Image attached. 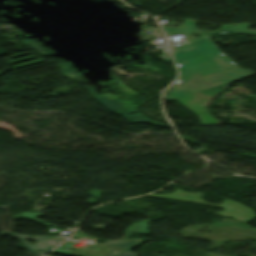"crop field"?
Wrapping results in <instances>:
<instances>
[{
    "instance_id": "crop-field-2",
    "label": "crop field",
    "mask_w": 256,
    "mask_h": 256,
    "mask_svg": "<svg viewBox=\"0 0 256 256\" xmlns=\"http://www.w3.org/2000/svg\"><path fill=\"white\" fill-rule=\"evenodd\" d=\"M2 233L9 234V235H12L13 237L19 238L23 243V245L26 247V249L35 254H44L63 241L62 239H54V238H47V237H41V236L28 237V236L18 235L14 233H9V232H2ZM24 238L33 239L38 243L35 245H30L27 241L24 240ZM35 249H40L45 251L43 253H38L35 251Z\"/></svg>"
},
{
    "instance_id": "crop-field-8",
    "label": "crop field",
    "mask_w": 256,
    "mask_h": 256,
    "mask_svg": "<svg viewBox=\"0 0 256 256\" xmlns=\"http://www.w3.org/2000/svg\"><path fill=\"white\" fill-rule=\"evenodd\" d=\"M74 243L72 241H67L66 245L65 246H62V247H59L57 248L56 250H54V252H58V253H63V254H67V255H70V251H67V250H64L62 249L63 247H68V248H72V245Z\"/></svg>"
},
{
    "instance_id": "crop-field-3",
    "label": "crop field",
    "mask_w": 256,
    "mask_h": 256,
    "mask_svg": "<svg viewBox=\"0 0 256 256\" xmlns=\"http://www.w3.org/2000/svg\"><path fill=\"white\" fill-rule=\"evenodd\" d=\"M250 26H251V24L225 25V26H222L220 31H214V32H203L202 31L199 34H201L202 36H205V35L212 36L214 34H223V33L231 32V33L256 35V32H252L249 29Z\"/></svg>"
},
{
    "instance_id": "crop-field-10",
    "label": "crop field",
    "mask_w": 256,
    "mask_h": 256,
    "mask_svg": "<svg viewBox=\"0 0 256 256\" xmlns=\"http://www.w3.org/2000/svg\"><path fill=\"white\" fill-rule=\"evenodd\" d=\"M100 194H102V192L92 190L91 191V198H90L89 201H87V203H91L92 205H94L93 202H96V200H93V196H96L97 199H98Z\"/></svg>"
},
{
    "instance_id": "crop-field-9",
    "label": "crop field",
    "mask_w": 256,
    "mask_h": 256,
    "mask_svg": "<svg viewBox=\"0 0 256 256\" xmlns=\"http://www.w3.org/2000/svg\"><path fill=\"white\" fill-rule=\"evenodd\" d=\"M160 46L163 47V50H164V54L162 56H160V58H166V62L170 63L171 59H170V56H169L167 46H164V45H160Z\"/></svg>"
},
{
    "instance_id": "crop-field-11",
    "label": "crop field",
    "mask_w": 256,
    "mask_h": 256,
    "mask_svg": "<svg viewBox=\"0 0 256 256\" xmlns=\"http://www.w3.org/2000/svg\"><path fill=\"white\" fill-rule=\"evenodd\" d=\"M118 256H138L137 254L135 253H132V252H129V251H126Z\"/></svg>"
},
{
    "instance_id": "crop-field-4",
    "label": "crop field",
    "mask_w": 256,
    "mask_h": 256,
    "mask_svg": "<svg viewBox=\"0 0 256 256\" xmlns=\"http://www.w3.org/2000/svg\"><path fill=\"white\" fill-rule=\"evenodd\" d=\"M185 25L187 27H184ZM162 27L164 28L168 36L194 34L201 31L197 27H195L194 20H187L181 27H178V28H169L165 26H162Z\"/></svg>"
},
{
    "instance_id": "crop-field-7",
    "label": "crop field",
    "mask_w": 256,
    "mask_h": 256,
    "mask_svg": "<svg viewBox=\"0 0 256 256\" xmlns=\"http://www.w3.org/2000/svg\"><path fill=\"white\" fill-rule=\"evenodd\" d=\"M39 215H43V214H41L39 212H33V213L25 212V213H22V214L14 216V218L20 219V218H23V217H27V218H29L31 220H34V221H37V222H39V223H41L43 225H49V224H46V223L42 222L39 219H35V217L39 216Z\"/></svg>"
},
{
    "instance_id": "crop-field-6",
    "label": "crop field",
    "mask_w": 256,
    "mask_h": 256,
    "mask_svg": "<svg viewBox=\"0 0 256 256\" xmlns=\"http://www.w3.org/2000/svg\"><path fill=\"white\" fill-rule=\"evenodd\" d=\"M140 240H132V241H107L103 244L108 245L110 247H114V248H122V249H126L128 247H130L131 245L137 243Z\"/></svg>"
},
{
    "instance_id": "crop-field-5",
    "label": "crop field",
    "mask_w": 256,
    "mask_h": 256,
    "mask_svg": "<svg viewBox=\"0 0 256 256\" xmlns=\"http://www.w3.org/2000/svg\"><path fill=\"white\" fill-rule=\"evenodd\" d=\"M150 220L138 222L127 229L126 232L148 233V224Z\"/></svg>"
},
{
    "instance_id": "crop-field-12",
    "label": "crop field",
    "mask_w": 256,
    "mask_h": 256,
    "mask_svg": "<svg viewBox=\"0 0 256 256\" xmlns=\"http://www.w3.org/2000/svg\"><path fill=\"white\" fill-rule=\"evenodd\" d=\"M119 252L118 251H116V252H114V253H112V254H110L109 256H115V255H117Z\"/></svg>"
},
{
    "instance_id": "crop-field-1",
    "label": "crop field",
    "mask_w": 256,
    "mask_h": 256,
    "mask_svg": "<svg viewBox=\"0 0 256 256\" xmlns=\"http://www.w3.org/2000/svg\"><path fill=\"white\" fill-rule=\"evenodd\" d=\"M172 47L182 75L168 91L167 100L255 74L233 64L216 49L209 36Z\"/></svg>"
}]
</instances>
